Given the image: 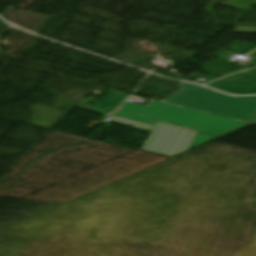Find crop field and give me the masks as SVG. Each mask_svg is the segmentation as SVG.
<instances>
[{
  "instance_id": "crop-field-1",
  "label": "crop field",
  "mask_w": 256,
  "mask_h": 256,
  "mask_svg": "<svg viewBox=\"0 0 256 256\" xmlns=\"http://www.w3.org/2000/svg\"><path fill=\"white\" fill-rule=\"evenodd\" d=\"M115 116L154 126L157 120L198 131L188 150L250 124L151 100L147 107L126 102Z\"/></svg>"
},
{
  "instance_id": "crop-field-2",
  "label": "crop field",
  "mask_w": 256,
  "mask_h": 256,
  "mask_svg": "<svg viewBox=\"0 0 256 256\" xmlns=\"http://www.w3.org/2000/svg\"><path fill=\"white\" fill-rule=\"evenodd\" d=\"M177 86L182 89L161 101L256 124V96L230 97L185 82Z\"/></svg>"
},
{
  "instance_id": "crop-field-3",
  "label": "crop field",
  "mask_w": 256,
  "mask_h": 256,
  "mask_svg": "<svg viewBox=\"0 0 256 256\" xmlns=\"http://www.w3.org/2000/svg\"><path fill=\"white\" fill-rule=\"evenodd\" d=\"M112 122L151 131L141 150L173 157L187 151L196 131L173 126L157 121L154 127L129 121L118 117H110Z\"/></svg>"
},
{
  "instance_id": "crop-field-4",
  "label": "crop field",
  "mask_w": 256,
  "mask_h": 256,
  "mask_svg": "<svg viewBox=\"0 0 256 256\" xmlns=\"http://www.w3.org/2000/svg\"><path fill=\"white\" fill-rule=\"evenodd\" d=\"M206 86L238 95L256 94V70L250 69L214 82Z\"/></svg>"
},
{
  "instance_id": "crop-field-5",
  "label": "crop field",
  "mask_w": 256,
  "mask_h": 256,
  "mask_svg": "<svg viewBox=\"0 0 256 256\" xmlns=\"http://www.w3.org/2000/svg\"><path fill=\"white\" fill-rule=\"evenodd\" d=\"M127 93L118 92L114 90H108L104 97L93 105H88L79 102L77 106L89 108L92 110L104 112L110 114L113 112L127 97Z\"/></svg>"
},
{
  "instance_id": "crop-field-6",
  "label": "crop field",
  "mask_w": 256,
  "mask_h": 256,
  "mask_svg": "<svg viewBox=\"0 0 256 256\" xmlns=\"http://www.w3.org/2000/svg\"><path fill=\"white\" fill-rule=\"evenodd\" d=\"M254 49H256V45H253V44H247V43H244V44H237L235 47H233L232 49H230L228 52L226 53H223L220 57H218L215 61L216 62H222V63H228V64H232V62H229V61H224L223 58L228 54H234L236 55V53H239V52H248L250 53L251 51H253Z\"/></svg>"
},
{
  "instance_id": "crop-field-7",
  "label": "crop field",
  "mask_w": 256,
  "mask_h": 256,
  "mask_svg": "<svg viewBox=\"0 0 256 256\" xmlns=\"http://www.w3.org/2000/svg\"><path fill=\"white\" fill-rule=\"evenodd\" d=\"M248 61L255 62L256 63V51L252 54V56L249 58Z\"/></svg>"
},
{
  "instance_id": "crop-field-8",
  "label": "crop field",
  "mask_w": 256,
  "mask_h": 256,
  "mask_svg": "<svg viewBox=\"0 0 256 256\" xmlns=\"http://www.w3.org/2000/svg\"><path fill=\"white\" fill-rule=\"evenodd\" d=\"M256 69V68H255Z\"/></svg>"
}]
</instances>
